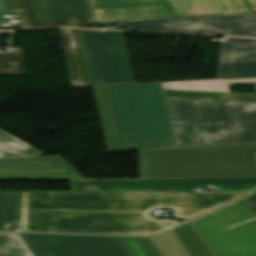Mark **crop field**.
<instances>
[{
	"instance_id": "obj_19",
	"label": "crop field",
	"mask_w": 256,
	"mask_h": 256,
	"mask_svg": "<svg viewBox=\"0 0 256 256\" xmlns=\"http://www.w3.org/2000/svg\"><path fill=\"white\" fill-rule=\"evenodd\" d=\"M150 240L162 256H190L172 230Z\"/></svg>"
},
{
	"instance_id": "obj_5",
	"label": "crop field",
	"mask_w": 256,
	"mask_h": 256,
	"mask_svg": "<svg viewBox=\"0 0 256 256\" xmlns=\"http://www.w3.org/2000/svg\"><path fill=\"white\" fill-rule=\"evenodd\" d=\"M96 24L256 14V0H88Z\"/></svg>"
},
{
	"instance_id": "obj_14",
	"label": "crop field",
	"mask_w": 256,
	"mask_h": 256,
	"mask_svg": "<svg viewBox=\"0 0 256 256\" xmlns=\"http://www.w3.org/2000/svg\"><path fill=\"white\" fill-rule=\"evenodd\" d=\"M256 77V39L226 38L218 79Z\"/></svg>"
},
{
	"instance_id": "obj_18",
	"label": "crop field",
	"mask_w": 256,
	"mask_h": 256,
	"mask_svg": "<svg viewBox=\"0 0 256 256\" xmlns=\"http://www.w3.org/2000/svg\"><path fill=\"white\" fill-rule=\"evenodd\" d=\"M44 153L0 130V158L41 156Z\"/></svg>"
},
{
	"instance_id": "obj_3",
	"label": "crop field",
	"mask_w": 256,
	"mask_h": 256,
	"mask_svg": "<svg viewBox=\"0 0 256 256\" xmlns=\"http://www.w3.org/2000/svg\"><path fill=\"white\" fill-rule=\"evenodd\" d=\"M165 101L176 147L256 142V104Z\"/></svg>"
},
{
	"instance_id": "obj_11",
	"label": "crop field",
	"mask_w": 256,
	"mask_h": 256,
	"mask_svg": "<svg viewBox=\"0 0 256 256\" xmlns=\"http://www.w3.org/2000/svg\"><path fill=\"white\" fill-rule=\"evenodd\" d=\"M125 29L185 31L256 37V15L124 23Z\"/></svg>"
},
{
	"instance_id": "obj_13",
	"label": "crop field",
	"mask_w": 256,
	"mask_h": 256,
	"mask_svg": "<svg viewBox=\"0 0 256 256\" xmlns=\"http://www.w3.org/2000/svg\"><path fill=\"white\" fill-rule=\"evenodd\" d=\"M83 179L60 157L0 159V180Z\"/></svg>"
},
{
	"instance_id": "obj_9",
	"label": "crop field",
	"mask_w": 256,
	"mask_h": 256,
	"mask_svg": "<svg viewBox=\"0 0 256 256\" xmlns=\"http://www.w3.org/2000/svg\"><path fill=\"white\" fill-rule=\"evenodd\" d=\"M35 256H133L120 237L20 234Z\"/></svg>"
},
{
	"instance_id": "obj_1",
	"label": "crop field",
	"mask_w": 256,
	"mask_h": 256,
	"mask_svg": "<svg viewBox=\"0 0 256 256\" xmlns=\"http://www.w3.org/2000/svg\"><path fill=\"white\" fill-rule=\"evenodd\" d=\"M247 194L23 191L20 231L156 235L181 222L154 219L166 208L191 220Z\"/></svg>"
},
{
	"instance_id": "obj_4",
	"label": "crop field",
	"mask_w": 256,
	"mask_h": 256,
	"mask_svg": "<svg viewBox=\"0 0 256 256\" xmlns=\"http://www.w3.org/2000/svg\"><path fill=\"white\" fill-rule=\"evenodd\" d=\"M141 178L256 176V145L140 151Z\"/></svg>"
},
{
	"instance_id": "obj_22",
	"label": "crop field",
	"mask_w": 256,
	"mask_h": 256,
	"mask_svg": "<svg viewBox=\"0 0 256 256\" xmlns=\"http://www.w3.org/2000/svg\"><path fill=\"white\" fill-rule=\"evenodd\" d=\"M24 73L21 54L0 53V74Z\"/></svg>"
},
{
	"instance_id": "obj_17",
	"label": "crop field",
	"mask_w": 256,
	"mask_h": 256,
	"mask_svg": "<svg viewBox=\"0 0 256 256\" xmlns=\"http://www.w3.org/2000/svg\"><path fill=\"white\" fill-rule=\"evenodd\" d=\"M191 256H211L213 253L195 231L190 222L173 229Z\"/></svg>"
},
{
	"instance_id": "obj_26",
	"label": "crop field",
	"mask_w": 256,
	"mask_h": 256,
	"mask_svg": "<svg viewBox=\"0 0 256 256\" xmlns=\"http://www.w3.org/2000/svg\"><path fill=\"white\" fill-rule=\"evenodd\" d=\"M254 194H256V192Z\"/></svg>"
},
{
	"instance_id": "obj_25",
	"label": "crop field",
	"mask_w": 256,
	"mask_h": 256,
	"mask_svg": "<svg viewBox=\"0 0 256 256\" xmlns=\"http://www.w3.org/2000/svg\"><path fill=\"white\" fill-rule=\"evenodd\" d=\"M66 26H69V27H79L78 25H66Z\"/></svg>"
},
{
	"instance_id": "obj_8",
	"label": "crop field",
	"mask_w": 256,
	"mask_h": 256,
	"mask_svg": "<svg viewBox=\"0 0 256 256\" xmlns=\"http://www.w3.org/2000/svg\"><path fill=\"white\" fill-rule=\"evenodd\" d=\"M72 191H195L216 186L222 192H251L256 177L194 179L70 180Z\"/></svg>"
},
{
	"instance_id": "obj_2",
	"label": "crop field",
	"mask_w": 256,
	"mask_h": 256,
	"mask_svg": "<svg viewBox=\"0 0 256 256\" xmlns=\"http://www.w3.org/2000/svg\"><path fill=\"white\" fill-rule=\"evenodd\" d=\"M93 88L108 152L175 147L161 83Z\"/></svg>"
},
{
	"instance_id": "obj_20",
	"label": "crop field",
	"mask_w": 256,
	"mask_h": 256,
	"mask_svg": "<svg viewBox=\"0 0 256 256\" xmlns=\"http://www.w3.org/2000/svg\"><path fill=\"white\" fill-rule=\"evenodd\" d=\"M0 256H34L19 234L0 233Z\"/></svg>"
},
{
	"instance_id": "obj_16",
	"label": "crop field",
	"mask_w": 256,
	"mask_h": 256,
	"mask_svg": "<svg viewBox=\"0 0 256 256\" xmlns=\"http://www.w3.org/2000/svg\"><path fill=\"white\" fill-rule=\"evenodd\" d=\"M22 191H0V231L8 224H20Z\"/></svg>"
},
{
	"instance_id": "obj_23",
	"label": "crop field",
	"mask_w": 256,
	"mask_h": 256,
	"mask_svg": "<svg viewBox=\"0 0 256 256\" xmlns=\"http://www.w3.org/2000/svg\"><path fill=\"white\" fill-rule=\"evenodd\" d=\"M245 200L251 206L249 210L256 215V195L253 194L252 196L245 198Z\"/></svg>"
},
{
	"instance_id": "obj_24",
	"label": "crop field",
	"mask_w": 256,
	"mask_h": 256,
	"mask_svg": "<svg viewBox=\"0 0 256 256\" xmlns=\"http://www.w3.org/2000/svg\"><path fill=\"white\" fill-rule=\"evenodd\" d=\"M12 31H8V32H0V34H7V33H11Z\"/></svg>"
},
{
	"instance_id": "obj_10",
	"label": "crop field",
	"mask_w": 256,
	"mask_h": 256,
	"mask_svg": "<svg viewBox=\"0 0 256 256\" xmlns=\"http://www.w3.org/2000/svg\"><path fill=\"white\" fill-rule=\"evenodd\" d=\"M1 11H21L25 28L95 23L87 0H0Z\"/></svg>"
},
{
	"instance_id": "obj_7",
	"label": "crop field",
	"mask_w": 256,
	"mask_h": 256,
	"mask_svg": "<svg viewBox=\"0 0 256 256\" xmlns=\"http://www.w3.org/2000/svg\"><path fill=\"white\" fill-rule=\"evenodd\" d=\"M81 32L93 86L134 84L122 32Z\"/></svg>"
},
{
	"instance_id": "obj_21",
	"label": "crop field",
	"mask_w": 256,
	"mask_h": 256,
	"mask_svg": "<svg viewBox=\"0 0 256 256\" xmlns=\"http://www.w3.org/2000/svg\"><path fill=\"white\" fill-rule=\"evenodd\" d=\"M134 256H161L149 238L121 237Z\"/></svg>"
},
{
	"instance_id": "obj_6",
	"label": "crop field",
	"mask_w": 256,
	"mask_h": 256,
	"mask_svg": "<svg viewBox=\"0 0 256 256\" xmlns=\"http://www.w3.org/2000/svg\"><path fill=\"white\" fill-rule=\"evenodd\" d=\"M256 216L238 202L191 221L215 256H256Z\"/></svg>"
},
{
	"instance_id": "obj_15",
	"label": "crop field",
	"mask_w": 256,
	"mask_h": 256,
	"mask_svg": "<svg viewBox=\"0 0 256 256\" xmlns=\"http://www.w3.org/2000/svg\"><path fill=\"white\" fill-rule=\"evenodd\" d=\"M73 87L92 86L80 30L59 29Z\"/></svg>"
},
{
	"instance_id": "obj_12",
	"label": "crop field",
	"mask_w": 256,
	"mask_h": 256,
	"mask_svg": "<svg viewBox=\"0 0 256 256\" xmlns=\"http://www.w3.org/2000/svg\"><path fill=\"white\" fill-rule=\"evenodd\" d=\"M256 78L162 83L165 99L256 102V95L229 94L227 84L255 83Z\"/></svg>"
}]
</instances>
